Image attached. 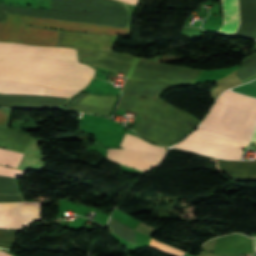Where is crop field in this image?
Instances as JSON below:
<instances>
[{
    "instance_id": "d8731c3e",
    "label": "crop field",
    "mask_w": 256,
    "mask_h": 256,
    "mask_svg": "<svg viewBox=\"0 0 256 256\" xmlns=\"http://www.w3.org/2000/svg\"><path fill=\"white\" fill-rule=\"evenodd\" d=\"M121 147L125 149L108 150V158L143 172L158 164L166 149L129 134H126Z\"/></svg>"
},
{
    "instance_id": "cbeb9de0",
    "label": "crop field",
    "mask_w": 256,
    "mask_h": 256,
    "mask_svg": "<svg viewBox=\"0 0 256 256\" xmlns=\"http://www.w3.org/2000/svg\"><path fill=\"white\" fill-rule=\"evenodd\" d=\"M224 25L218 33L235 36L239 26L240 17L237 0H221Z\"/></svg>"
},
{
    "instance_id": "730fd06b",
    "label": "crop field",
    "mask_w": 256,
    "mask_h": 256,
    "mask_svg": "<svg viewBox=\"0 0 256 256\" xmlns=\"http://www.w3.org/2000/svg\"><path fill=\"white\" fill-rule=\"evenodd\" d=\"M0 256H12V255H10V254H8V253H6V252L0 251Z\"/></svg>"
},
{
    "instance_id": "a9b5d70f",
    "label": "crop field",
    "mask_w": 256,
    "mask_h": 256,
    "mask_svg": "<svg viewBox=\"0 0 256 256\" xmlns=\"http://www.w3.org/2000/svg\"><path fill=\"white\" fill-rule=\"evenodd\" d=\"M87 94V93H86ZM85 95V93L82 94H77L75 96H73L68 103L66 104V106L64 107V109H73L76 104L82 99V97Z\"/></svg>"
},
{
    "instance_id": "92a150f3",
    "label": "crop field",
    "mask_w": 256,
    "mask_h": 256,
    "mask_svg": "<svg viewBox=\"0 0 256 256\" xmlns=\"http://www.w3.org/2000/svg\"><path fill=\"white\" fill-rule=\"evenodd\" d=\"M150 246L154 247L156 249H159L161 251H164L166 253H169V254H171L173 256H184V254H185V253L177 251V250H175V249H173L171 247H168V246H166V245H164V244H162L160 242H157V241H155L153 239H151Z\"/></svg>"
},
{
    "instance_id": "bc2a9ffb",
    "label": "crop field",
    "mask_w": 256,
    "mask_h": 256,
    "mask_svg": "<svg viewBox=\"0 0 256 256\" xmlns=\"http://www.w3.org/2000/svg\"><path fill=\"white\" fill-rule=\"evenodd\" d=\"M22 155L23 154L0 149V163L16 168Z\"/></svg>"
},
{
    "instance_id": "dafd665d",
    "label": "crop field",
    "mask_w": 256,
    "mask_h": 256,
    "mask_svg": "<svg viewBox=\"0 0 256 256\" xmlns=\"http://www.w3.org/2000/svg\"><path fill=\"white\" fill-rule=\"evenodd\" d=\"M24 173H25V171H23V170L8 169V168L0 166V175H3V176L19 178V177L23 176Z\"/></svg>"
},
{
    "instance_id": "5a996713",
    "label": "crop field",
    "mask_w": 256,
    "mask_h": 256,
    "mask_svg": "<svg viewBox=\"0 0 256 256\" xmlns=\"http://www.w3.org/2000/svg\"><path fill=\"white\" fill-rule=\"evenodd\" d=\"M201 72V70L193 68L165 65L136 58L128 73V78L193 83Z\"/></svg>"
},
{
    "instance_id": "22f410ed",
    "label": "crop field",
    "mask_w": 256,
    "mask_h": 256,
    "mask_svg": "<svg viewBox=\"0 0 256 256\" xmlns=\"http://www.w3.org/2000/svg\"><path fill=\"white\" fill-rule=\"evenodd\" d=\"M59 31L25 26L22 42L30 45L56 46Z\"/></svg>"
},
{
    "instance_id": "733c2abd",
    "label": "crop field",
    "mask_w": 256,
    "mask_h": 256,
    "mask_svg": "<svg viewBox=\"0 0 256 256\" xmlns=\"http://www.w3.org/2000/svg\"><path fill=\"white\" fill-rule=\"evenodd\" d=\"M108 226L110 231L135 244V230L113 218H110Z\"/></svg>"
},
{
    "instance_id": "4a817a6b",
    "label": "crop field",
    "mask_w": 256,
    "mask_h": 256,
    "mask_svg": "<svg viewBox=\"0 0 256 256\" xmlns=\"http://www.w3.org/2000/svg\"><path fill=\"white\" fill-rule=\"evenodd\" d=\"M17 230H0V249L11 251L16 242Z\"/></svg>"
},
{
    "instance_id": "28ad6ade",
    "label": "crop field",
    "mask_w": 256,
    "mask_h": 256,
    "mask_svg": "<svg viewBox=\"0 0 256 256\" xmlns=\"http://www.w3.org/2000/svg\"><path fill=\"white\" fill-rule=\"evenodd\" d=\"M118 97L119 96L93 95L87 93L74 109L109 117Z\"/></svg>"
},
{
    "instance_id": "d1516ede",
    "label": "crop field",
    "mask_w": 256,
    "mask_h": 256,
    "mask_svg": "<svg viewBox=\"0 0 256 256\" xmlns=\"http://www.w3.org/2000/svg\"><path fill=\"white\" fill-rule=\"evenodd\" d=\"M177 85L180 84L128 80L123 95L138 97L143 96L161 100L160 96L165 90Z\"/></svg>"
},
{
    "instance_id": "ac0d7876",
    "label": "crop field",
    "mask_w": 256,
    "mask_h": 256,
    "mask_svg": "<svg viewBox=\"0 0 256 256\" xmlns=\"http://www.w3.org/2000/svg\"><path fill=\"white\" fill-rule=\"evenodd\" d=\"M255 124L256 99L228 91L198 128L249 142ZM210 132L196 129L174 147L222 159H242L247 142Z\"/></svg>"
},
{
    "instance_id": "4177f3b9",
    "label": "crop field",
    "mask_w": 256,
    "mask_h": 256,
    "mask_svg": "<svg viewBox=\"0 0 256 256\" xmlns=\"http://www.w3.org/2000/svg\"><path fill=\"white\" fill-rule=\"evenodd\" d=\"M122 1H125L127 3L137 4L138 0H122Z\"/></svg>"
},
{
    "instance_id": "3316defc",
    "label": "crop field",
    "mask_w": 256,
    "mask_h": 256,
    "mask_svg": "<svg viewBox=\"0 0 256 256\" xmlns=\"http://www.w3.org/2000/svg\"><path fill=\"white\" fill-rule=\"evenodd\" d=\"M41 202L0 203V228L14 229L28 227L40 217Z\"/></svg>"
},
{
    "instance_id": "00972430",
    "label": "crop field",
    "mask_w": 256,
    "mask_h": 256,
    "mask_svg": "<svg viewBox=\"0 0 256 256\" xmlns=\"http://www.w3.org/2000/svg\"><path fill=\"white\" fill-rule=\"evenodd\" d=\"M12 110L0 109V126L7 127Z\"/></svg>"
},
{
    "instance_id": "214f88e0",
    "label": "crop field",
    "mask_w": 256,
    "mask_h": 256,
    "mask_svg": "<svg viewBox=\"0 0 256 256\" xmlns=\"http://www.w3.org/2000/svg\"><path fill=\"white\" fill-rule=\"evenodd\" d=\"M232 90L249 95V96L256 97V80L246 83Z\"/></svg>"
},
{
    "instance_id": "8a807250",
    "label": "crop field",
    "mask_w": 256,
    "mask_h": 256,
    "mask_svg": "<svg viewBox=\"0 0 256 256\" xmlns=\"http://www.w3.org/2000/svg\"><path fill=\"white\" fill-rule=\"evenodd\" d=\"M94 74L75 49L0 43V79L46 86L44 95L70 98Z\"/></svg>"
},
{
    "instance_id": "d9b57169",
    "label": "crop field",
    "mask_w": 256,
    "mask_h": 256,
    "mask_svg": "<svg viewBox=\"0 0 256 256\" xmlns=\"http://www.w3.org/2000/svg\"><path fill=\"white\" fill-rule=\"evenodd\" d=\"M220 169H223L233 177H256V161L238 162L218 159Z\"/></svg>"
},
{
    "instance_id": "eef30255",
    "label": "crop field",
    "mask_w": 256,
    "mask_h": 256,
    "mask_svg": "<svg viewBox=\"0 0 256 256\" xmlns=\"http://www.w3.org/2000/svg\"><path fill=\"white\" fill-rule=\"evenodd\" d=\"M251 140L256 141V131H255V133H254V135H253V137H252V139H251Z\"/></svg>"
},
{
    "instance_id": "5142ce71",
    "label": "crop field",
    "mask_w": 256,
    "mask_h": 256,
    "mask_svg": "<svg viewBox=\"0 0 256 256\" xmlns=\"http://www.w3.org/2000/svg\"><path fill=\"white\" fill-rule=\"evenodd\" d=\"M27 134L0 127V146L24 153L30 139L32 138Z\"/></svg>"
},
{
    "instance_id": "ae1a2a85",
    "label": "crop field",
    "mask_w": 256,
    "mask_h": 256,
    "mask_svg": "<svg viewBox=\"0 0 256 256\" xmlns=\"http://www.w3.org/2000/svg\"><path fill=\"white\" fill-rule=\"evenodd\" d=\"M255 251H256V239H255Z\"/></svg>"
},
{
    "instance_id": "34b2d1b8",
    "label": "crop field",
    "mask_w": 256,
    "mask_h": 256,
    "mask_svg": "<svg viewBox=\"0 0 256 256\" xmlns=\"http://www.w3.org/2000/svg\"><path fill=\"white\" fill-rule=\"evenodd\" d=\"M119 109L141 115L135 127L143 137L171 146L199 125L194 116L163 101L122 96Z\"/></svg>"
},
{
    "instance_id": "dd49c442",
    "label": "crop field",
    "mask_w": 256,
    "mask_h": 256,
    "mask_svg": "<svg viewBox=\"0 0 256 256\" xmlns=\"http://www.w3.org/2000/svg\"><path fill=\"white\" fill-rule=\"evenodd\" d=\"M0 22V36L3 28ZM24 24L53 27L64 30L92 32L100 34L124 35L129 36L131 29L109 27L94 24H85L77 22L59 21L51 19H43L36 17L20 16L8 14L5 20L2 36L0 41L19 42L22 35Z\"/></svg>"
},
{
    "instance_id": "e52e79f7",
    "label": "crop field",
    "mask_w": 256,
    "mask_h": 256,
    "mask_svg": "<svg viewBox=\"0 0 256 256\" xmlns=\"http://www.w3.org/2000/svg\"><path fill=\"white\" fill-rule=\"evenodd\" d=\"M45 87L0 80V93L43 95ZM0 94V107L61 110L68 99Z\"/></svg>"
},
{
    "instance_id": "412701ff",
    "label": "crop field",
    "mask_w": 256,
    "mask_h": 256,
    "mask_svg": "<svg viewBox=\"0 0 256 256\" xmlns=\"http://www.w3.org/2000/svg\"><path fill=\"white\" fill-rule=\"evenodd\" d=\"M7 13L130 28L127 4L115 0H52L49 11L0 5V20Z\"/></svg>"
},
{
    "instance_id": "f4fd0767",
    "label": "crop field",
    "mask_w": 256,
    "mask_h": 256,
    "mask_svg": "<svg viewBox=\"0 0 256 256\" xmlns=\"http://www.w3.org/2000/svg\"><path fill=\"white\" fill-rule=\"evenodd\" d=\"M117 36L61 31L58 46L78 48L79 61L127 74L134 56L112 52Z\"/></svg>"
}]
</instances>
